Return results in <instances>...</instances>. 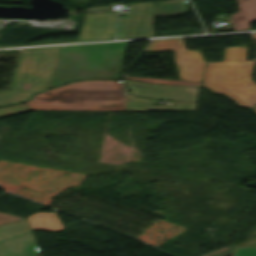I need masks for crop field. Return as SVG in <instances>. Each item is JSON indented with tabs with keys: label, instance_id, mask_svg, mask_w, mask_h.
I'll return each mask as SVG.
<instances>
[{
	"label": "crop field",
	"instance_id": "crop-field-17",
	"mask_svg": "<svg viewBox=\"0 0 256 256\" xmlns=\"http://www.w3.org/2000/svg\"><path fill=\"white\" fill-rule=\"evenodd\" d=\"M21 219H23V218L0 212V224L13 222V221L21 220Z\"/></svg>",
	"mask_w": 256,
	"mask_h": 256
},
{
	"label": "crop field",
	"instance_id": "crop-field-10",
	"mask_svg": "<svg viewBox=\"0 0 256 256\" xmlns=\"http://www.w3.org/2000/svg\"><path fill=\"white\" fill-rule=\"evenodd\" d=\"M197 103L176 102L175 106H151V101L129 97L127 110L130 111H196Z\"/></svg>",
	"mask_w": 256,
	"mask_h": 256
},
{
	"label": "crop field",
	"instance_id": "crop-field-20",
	"mask_svg": "<svg viewBox=\"0 0 256 256\" xmlns=\"http://www.w3.org/2000/svg\"><path fill=\"white\" fill-rule=\"evenodd\" d=\"M254 111L256 112V108L254 109Z\"/></svg>",
	"mask_w": 256,
	"mask_h": 256
},
{
	"label": "crop field",
	"instance_id": "crop-field-16",
	"mask_svg": "<svg viewBox=\"0 0 256 256\" xmlns=\"http://www.w3.org/2000/svg\"><path fill=\"white\" fill-rule=\"evenodd\" d=\"M232 256H256V247H236Z\"/></svg>",
	"mask_w": 256,
	"mask_h": 256
},
{
	"label": "crop field",
	"instance_id": "crop-field-14",
	"mask_svg": "<svg viewBox=\"0 0 256 256\" xmlns=\"http://www.w3.org/2000/svg\"><path fill=\"white\" fill-rule=\"evenodd\" d=\"M125 79H136V80H139V81H143V82H147V83H153V84L200 86V83H195V82L175 81V80L156 79V78H142V77L126 76Z\"/></svg>",
	"mask_w": 256,
	"mask_h": 256
},
{
	"label": "crop field",
	"instance_id": "crop-field-12",
	"mask_svg": "<svg viewBox=\"0 0 256 256\" xmlns=\"http://www.w3.org/2000/svg\"><path fill=\"white\" fill-rule=\"evenodd\" d=\"M27 221L32 230H44L50 232H57L64 229L55 213H35L27 217Z\"/></svg>",
	"mask_w": 256,
	"mask_h": 256
},
{
	"label": "crop field",
	"instance_id": "crop-field-13",
	"mask_svg": "<svg viewBox=\"0 0 256 256\" xmlns=\"http://www.w3.org/2000/svg\"><path fill=\"white\" fill-rule=\"evenodd\" d=\"M187 13L185 0L161 1L155 6V16H171Z\"/></svg>",
	"mask_w": 256,
	"mask_h": 256
},
{
	"label": "crop field",
	"instance_id": "crop-field-2",
	"mask_svg": "<svg viewBox=\"0 0 256 256\" xmlns=\"http://www.w3.org/2000/svg\"><path fill=\"white\" fill-rule=\"evenodd\" d=\"M116 80H90L35 95L33 110H126L128 96Z\"/></svg>",
	"mask_w": 256,
	"mask_h": 256
},
{
	"label": "crop field",
	"instance_id": "crop-field-8",
	"mask_svg": "<svg viewBox=\"0 0 256 256\" xmlns=\"http://www.w3.org/2000/svg\"><path fill=\"white\" fill-rule=\"evenodd\" d=\"M124 84L131 90L129 92L130 95L168 101L196 102L200 89L192 87L147 85L134 81H125Z\"/></svg>",
	"mask_w": 256,
	"mask_h": 256
},
{
	"label": "crop field",
	"instance_id": "crop-field-11",
	"mask_svg": "<svg viewBox=\"0 0 256 256\" xmlns=\"http://www.w3.org/2000/svg\"><path fill=\"white\" fill-rule=\"evenodd\" d=\"M239 12L232 15L234 30L249 29L248 22L256 21V0H237Z\"/></svg>",
	"mask_w": 256,
	"mask_h": 256
},
{
	"label": "crop field",
	"instance_id": "crop-field-7",
	"mask_svg": "<svg viewBox=\"0 0 256 256\" xmlns=\"http://www.w3.org/2000/svg\"><path fill=\"white\" fill-rule=\"evenodd\" d=\"M130 13L127 18H121L118 39L154 36V3H139L125 5Z\"/></svg>",
	"mask_w": 256,
	"mask_h": 256
},
{
	"label": "crop field",
	"instance_id": "crop-field-1",
	"mask_svg": "<svg viewBox=\"0 0 256 256\" xmlns=\"http://www.w3.org/2000/svg\"><path fill=\"white\" fill-rule=\"evenodd\" d=\"M128 42L60 47L49 88L73 80L120 79Z\"/></svg>",
	"mask_w": 256,
	"mask_h": 256
},
{
	"label": "crop field",
	"instance_id": "crop-field-4",
	"mask_svg": "<svg viewBox=\"0 0 256 256\" xmlns=\"http://www.w3.org/2000/svg\"><path fill=\"white\" fill-rule=\"evenodd\" d=\"M59 47L22 50L10 90L0 92V107L20 103L47 89Z\"/></svg>",
	"mask_w": 256,
	"mask_h": 256
},
{
	"label": "crop field",
	"instance_id": "crop-field-3",
	"mask_svg": "<svg viewBox=\"0 0 256 256\" xmlns=\"http://www.w3.org/2000/svg\"><path fill=\"white\" fill-rule=\"evenodd\" d=\"M252 66L253 61H246V46L226 48L223 62H207L202 86L254 108L256 83L251 80Z\"/></svg>",
	"mask_w": 256,
	"mask_h": 256
},
{
	"label": "crop field",
	"instance_id": "crop-field-6",
	"mask_svg": "<svg viewBox=\"0 0 256 256\" xmlns=\"http://www.w3.org/2000/svg\"><path fill=\"white\" fill-rule=\"evenodd\" d=\"M0 256H40L26 220L0 225Z\"/></svg>",
	"mask_w": 256,
	"mask_h": 256
},
{
	"label": "crop field",
	"instance_id": "crop-field-9",
	"mask_svg": "<svg viewBox=\"0 0 256 256\" xmlns=\"http://www.w3.org/2000/svg\"><path fill=\"white\" fill-rule=\"evenodd\" d=\"M118 13L86 15L78 41L114 39Z\"/></svg>",
	"mask_w": 256,
	"mask_h": 256
},
{
	"label": "crop field",
	"instance_id": "crop-field-5",
	"mask_svg": "<svg viewBox=\"0 0 256 256\" xmlns=\"http://www.w3.org/2000/svg\"><path fill=\"white\" fill-rule=\"evenodd\" d=\"M174 50L180 80L201 82L204 59L200 50H186L183 39L153 40L145 52Z\"/></svg>",
	"mask_w": 256,
	"mask_h": 256
},
{
	"label": "crop field",
	"instance_id": "crop-field-15",
	"mask_svg": "<svg viewBox=\"0 0 256 256\" xmlns=\"http://www.w3.org/2000/svg\"><path fill=\"white\" fill-rule=\"evenodd\" d=\"M28 110L29 109L27 108V106L25 104L9 106V107L0 109V117L5 116V115L14 114V113L24 112V111H28Z\"/></svg>",
	"mask_w": 256,
	"mask_h": 256
},
{
	"label": "crop field",
	"instance_id": "crop-field-18",
	"mask_svg": "<svg viewBox=\"0 0 256 256\" xmlns=\"http://www.w3.org/2000/svg\"><path fill=\"white\" fill-rule=\"evenodd\" d=\"M108 7H96L92 9H87L86 14H91V13H101V12H107Z\"/></svg>",
	"mask_w": 256,
	"mask_h": 256
},
{
	"label": "crop field",
	"instance_id": "crop-field-19",
	"mask_svg": "<svg viewBox=\"0 0 256 256\" xmlns=\"http://www.w3.org/2000/svg\"><path fill=\"white\" fill-rule=\"evenodd\" d=\"M255 40H256V34H254Z\"/></svg>",
	"mask_w": 256,
	"mask_h": 256
}]
</instances>
